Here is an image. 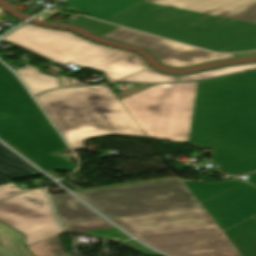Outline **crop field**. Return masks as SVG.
I'll return each mask as SVG.
<instances>
[{"mask_svg":"<svg viewBox=\"0 0 256 256\" xmlns=\"http://www.w3.org/2000/svg\"><path fill=\"white\" fill-rule=\"evenodd\" d=\"M256 52H248V53H243V54H234L237 58H240V57H247V56H252V55H255Z\"/></svg>","mask_w":256,"mask_h":256,"instance_id":"eef30255","label":"crop field"},{"mask_svg":"<svg viewBox=\"0 0 256 256\" xmlns=\"http://www.w3.org/2000/svg\"><path fill=\"white\" fill-rule=\"evenodd\" d=\"M68 256H71V255H68Z\"/></svg>","mask_w":256,"mask_h":256,"instance_id":"bd1437ed","label":"crop field"},{"mask_svg":"<svg viewBox=\"0 0 256 256\" xmlns=\"http://www.w3.org/2000/svg\"><path fill=\"white\" fill-rule=\"evenodd\" d=\"M64 227L67 230L82 231L104 240H115L119 242L130 238L105 220L67 224Z\"/></svg>","mask_w":256,"mask_h":256,"instance_id":"d9b57169","label":"crop field"},{"mask_svg":"<svg viewBox=\"0 0 256 256\" xmlns=\"http://www.w3.org/2000/svg\"><path fill=\"white\" fill-rule=\"evenodd\" d=\"M37 99L73 150L100 136L147 137L108 85L51 90Z\"/></svg>","mask_w":256,"mask_h":256,"instance_id":"34b2d1b8","label":"crop field"},{"mask_svg":"<svg viewBox=\"0 0 256 256\" xmlns=\"http://www.w3.org/2000/svg\"><path fill=\"white\" fill-rule=\"evenodd\" d=\"M142 1L144 0H66L63 3L89 12L93 14L91 17L104 21Z\"/></svg>","mask_w":256,"mask_h":256,"instance_id":"d1516ede","label":"crop field"},{"mask_svg":"<svg viewBox=\"0 0 256 256\" xmlns=\"http://www.w3.org/2000/svg\"><path fill=\"white\" fill-rule=\"evenodd\" d=\"M26 190H29V189H26ZM22 191H25V190L19 189L17 186H15L12 183L2 185V186H0V199L14 195V194L22 192Z\"/></svg>","mask_w":256,"mask_h":256,"instance_id":"a9b5d70f","label":"crop field"},{"mask_svg":"<svg viewBox=\"0 0 256 256\" xmlns=\"http://www.w3.org/2000/svg\"><path fill=\"white\" fill-rule=\"evenodd\" d=\"M202 205L223 231L256 215V187L243 182Z\"/></svg>","mask_w":256,"mask_h":256,"instance_id":"28ad6ade","label":"crop field"},{"mask_svg":"<svg viewBox=\"0 0 256 256\" xmlns=\"http://www.w3.org/2000/svg\"><path fill=\"white\" fill-rule=\"evenodd\" d=\"M42 175L28 163L0 144V184L26 176Z\"/></svg>","mask_w":256,"mask_h":256,"instance_id":"cbeb9de0","label":"crop field"},{"mask_svg":"<svg viewBox=\"0 0 256 256\" xmlns=\"http://www.w3.org/2000/svg\"><path fill=\"white\" fill-rule=\"evenodd\" d=\"M76 194L110 218L203 207L180 180Z\"/></svg>","mask_w":256,"mask_h":256,"instance_id":"d8731c3e","label":"crop field"},{"mask_svg":"<svg viewBox=\"0 0 256 256\" xmlns=\"http://www.w3.org/2000/svg\"><path fill=\"white\" fill-rule=\"evenodd\" d=\"M0 12H2V11H0Z\"/></svg>","mask_w":256,"mask_h":256,"instance_id":"1d83c4d3","label":"crop field"},{"mask_svg":"<svg viewBox=\"0 0 256 256\" xmlns=\"http://www.w3.org/2000/svg\"><path fill=\"white\" fill-rule=\"evenodd\" d=\"M52 1L56 2V1H58V0H52Z\"/></svg>","mask_w":256,"mask_h":256,"instance_id":"d3111659","label":"crop field"},{"mask_svg":"<svg viewBox=\"0 0 256 256\" xmlns=\"http://www.w3.org/2000/svg\"><path fill=\"white\" fill-rule=\"evenodd\" d=\"M249 176H250V178L247 181L256 185V173L250 174Z\"/></svg>","mask_w":256,"mask_h":256,"instance_id":"ae1a2a85","label":"crop field"},{"mask_svg":"<svg viewBox=\"0 0 256 256\" xmlns=\"http://www.w3.org/2000/svg\"><path fill=\"white\" fill-rule=\"evenodd\" d=\"M122 244H124V245L133 244V245H135L137 247L132 248V249H134V250H136V251H138L140 253H143V254H145L147 256H160L156 252H154V251H152V250H150V249L140 245L139 243L135 242L134 240H131V241H128V242H125V243H122Z\"/></svg>","mask_w":256,"mask_h":256,"instance_id":"4177f3b9","label":"crop field"},{"mask_svg":"<svg viewBox=\"0 0 256 256\" xmlns=\"http://www.w3.org/2000/svg\"><path fill=\"white\" fill-rule=\"evenodd\" d=\"M16 72L22 77L25 84L33 94L41 93L48 89L60 87L56 77L41 74L37 68L27 65Z\"/></svg>","mask_w":256,"mask_h":256,"instance_id":"4a817a6b","label":"crop field"},{"mask_svg":"<svg viewBox=\"0 0 256 256\" xmlns=\"http://www.w3.org/2000/svg\"><path fill=\"white\" fill-rule=\"evenodd\" d=\"M4 39L64 66L71 63L101 71L109 83L150 68L134 53L101 46L69 32L31 24Z\"/></svg>","mask_w":256,"mask_h":256,"instance_id":"dd49c442","label":"crop field"},{"mask_svg":"<svg viewBox=\"0 0 256 256\" xmlns=\"http://www.w3.org/2000/svg\"><path fill=\"white\" fill-rule=\"evenodd\" d=\"M196 85H155L121 102L149 138L187 142Z\"/></svg>","mask_w":256,"mask_h":256,"instance_id":"e52e79f7","label":"crop field"},{"mask_svg":"<svg viewBox=\"0 0 256 256\" xmlns=\"http://www.w3.org/2000/svg\"><path fill=\"white\" fill-rule=\"evenodd\" d=\"M106 22L213 51L256 50V0H146Z\"/></svg>","mask_w":256,"mask_h":256,"instance_id":"8a807250","label":"crop field"},{"mask_svg":"<svg viewBox=\"0 0 256 256\" xmlns=\"http://www.w3.org/2000/svg\"><path fill=\"white\" fill-rule=\"evenodd\" d=\"M51 198L62 224L102 219L69 194L54 195Z\"/></svg>","mask_w":256,"mask_h":256,"instance_id":"22f410ed","label":"crop field"},{"mask_svg":"<svg viewBox=\"0 0 256 256\" xmlns=\"http://www.w3.org/2000/svg\"><path fill=\"white\" fill-rule=\"evenodd\" d=\"M0 138L47 172L76 168L48 154L67 147L16 76L1 62Z\"/></svg>","mask_w":256,"mask_h":256,"instance_id":"f4fd0767","label":"crop field"},{"mask_svg":"<svg viewBox=\"0 0 256 256\" xmlns=\"http://www.w3.org/2000/svg\"><path fill=\"white\" fill-rule=\"evenodd\" d=\"M224 233L242 256H256V221L253 217Z\"/></svg>","mask_w":256,"mask_h":256,"instance_id":"5142ce71","label":"crop field"},{"mask_svg":"<svg viewBox=\"0 0 256 256\" xmlns=\"http://www.w3.org/2000/svg\"><path fill=\"white\" fill-rule=\"evenodd\" d=\"M23 241L21 233L0 223V256H32Z\"/></svg>","mask_w":256,"mask_h":256,"instance_id":"733c2abd","label":"crop field"},{"mask_svg":"<svg viewBox=\"0 0 256 256\" xmlns=\"http://www.w3.org/2000/svg\"><path fill=\"white\" fill-rule=\"evenodd\" d=\"M170 81H178L177 75H169L159 73L153 69H148L144 72L136 74L134 76L128 77L126 79L120 80L118 82H170Z\"/></svg>","mask_w":256,"mask_h":256,"instance_id":"dafd665d","label":"crop field"},{"mask_svg":"<svg viewBox=\"0 0 256 256\" xmlns=\"http://www.w3.org/2000/svg\"><path fill=\"white\" fill-rule=\"evenodd\" d=\"M188 143L213 149L218 170L256 171V71L198 82Z\"/></svg>","mask_w":256,"mask_h":256,"instance_id":"ac0d7876","label":"crop field"},{"mask_svg":"<svg viewBox=\"0 0 256 256\" xmlns=\"http://www.w3.org/2000/svg\"><path fill=\"white\" fill-rule=\"evenodd\" d=\"M0 221L25 234L26 245L64 233L42 190H33L0 202Z\"/></svg>","mask_w":256,"mask_h":256,"instance_id":"5a996713","label":"crop field"},{"mask_svg":"<svg viewBox=\"0 0 256 256\" xmlns=\"http://www.w3.org/2000/svg\"><path fill=\"white\" fill-rule=\"evenodd\" d=\"M199 202H203L243 181H230V182H218V183H194L189 181H184ZM185 184V185H186Z\"/></svg>","mask_w":256,"mask_h":256,"instance_id":"bc2a9ffb","label":"crop field"},{"mask_svg":"<svg viewBox=\"0 0 256 256\" xmlns=\"http://www.w3.org/2000/svg\"><path fill=\"white\" fill-rule=\"evenodd\" d=\"M111 220L171 256H241L204 207Z\"/></svg>","mask_w":256,"mask_h":256,"instance_id":"412701ff","label":"crop field"},{"mask_svg":"<svg viewBox=\"0 0 256 256\" xmlns=\"http://www.w3.org/2000/svg\"><path fill=\"white\" fill-rule=\"evenodd\" d=\"M256 68V63H250L245 65L238 66H229V67H219L215 69L206 70L199 73H194L191 75H180L178 76L179 81H189V80H201L210 77L222 76L242 70L254 69Z\"/></svg>","mask_w":256,"mask_h":256,"instance_id":"214f88e0","label":"crop field"},{"mask_svg":"<svg viewBox=\"0 0 256 256\" xmlns=\"http://www.w3.org/2000/svg\"><path fill=\"white\" fill-rule=\"evenodd\" d=\"M103 37L145 48L155 54L164 65L171 67L183 68L219 59L236 58L233 54L207 52L122 27Z\"/></svg>","mask_w":256,"mask_h":256,"instance_id":"3316defc","label":"crop field"},{"mask_svg":"<svg viewBox=\"0 0 256 256\" xmlns=\"http://www.w3.org/2000/svg\"><path fill=\"white\" fill-rule=\"evenodd\" d=\"M28 248L35 256H62L65 255L60 236L53 237Z\"/></svg>","mask_w":256,"mask_h":256,"instance_id":"92a150f3","label":"crop field"},{"mask_svg":"<svg viewBox=\"0 0 256 256\" xmlns=\"http://www.w3.org/2000/svg\"><path fill=\"white\" fill-rule=\"evenodd\" d=\"M255 220H256V216H254Z\"/></svg>","mask_w":256,"mask_h":256,"instance_id":"750c4746","label":"crop field"},{"mask_svg":"<svg viewBox=\"0 0 256 256\" xmlns=\"http://www.w3.org/2000/svg\"><path fill=\"white\" fill-rule=\"evenodd\" d=\"M60 77H61L62 84H63L64 87L71 86V84L69 82V79L67 77H64L62 75H60Z\"/></svg>","mask_w":256,"mask_h":256,"instance_id":"730fd06b","label":"crop field"},{"mask_svg":"<svg viewBox=\"0 0 256 256\" xmlns=\"http://www.w3.org/2000/svg\"><path fill=\"white\" fill-rule=\"evenodd\" d=\"M70 24L78 25L85 27L91 31H93L95 34H98L100 36L118 28L119 26H115L112 24H108L105 22L97 21L94 19H90L87 17H79L75 19L74 21L70 22Z\"/></svg>","mask_w":256,"mask_h":256,"instance_id":"00972430","label":"crop field"}]
</instances>
